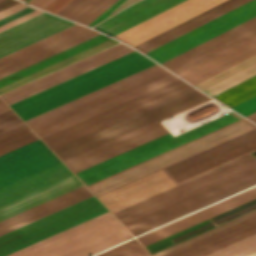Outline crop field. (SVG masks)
I'll return each mask as SVG.
<instances>
[{"label": "crop field", "instance_id": "obj_23", "mask_svg": "<svg viewBox=\"0 0 256 256\" xmlns=\"http://www.w3.org/2000/svg\"><path fill=\"white\" fill-rule=\"evenodd\" d=\"M255 217H256V216H253V217H251V218H249V219H246V220H244V221H242V222H239V223H237V224H235V225H233V226H230V227H228V228H226V229H229V228H231V227H234V226H236V225H238V224H241V223H243V222H245V221H248V220H250V219H252V218H255ZM255 227H256V218H255V219H252V220H250V221H248V222H245V223H243V224H241V225H238V226H236V227H234V228H231V229H229V230H227V231H224V230H226V229H223V230L219 231V232L224 231V232H222V233L216 232V233H214V234H212V235H215V234H217V233H219V234H217V235H215V236L210 235V236H212V237L207 236V237H205V238H208V237H210V238H208V239L203 238V239H205V240L200 239V240H198V241H201V240H203V241H201V242L196 241V242H198V243L193 242V243H191V244H194V243H196V244H194V245L189 244V245H191V246H189V245H187V246H189V247L184 246V247H187V248L182 247V248H184V249L180 248V249H182V250L177 249V250H180V251L175 250V251H177V252L173 251V252H175V253L170 252V253H173V254L168 253V254H170V255H168V254H166V255H168V256H191V255L196 254V253H198V252H200V251H202V250H205V249H207V248H209V247H212V246H214V245H216V244H219V243H221V242H223V241H225V240H228V239H230V238H232V237H235V236H237V235H239V234H242V233H244V232H246V231H248V230H251V229H253V228H255ZM166 255H164V256H166Z\"/></svg>", "mask_w": 256, "mask_h": 256}, {"label": "crop field", "instance_id": "obj_26", "mask_svg": "<svg viewBox=\"0 0 256 256\" xmlns=\"http://www.w3.org/2000/svg\"><path fill=\"white\" fill-rule=\"evenodd\" d=\"M116 43H118V42H116L115 40L109 38V39H107V40H105V41H103L101 43H98V44H96V45H94V46H92L90 48H87V49H85V50H83V51H81L79 53H76V54H74V55H72V56H70L68 58H65V59H63V60H61V61H59L57 63H54V64H52V65H50L48 67H45V68H43V69H41V70H39L37 72H34V73H32V74H30V75H28L26 77H23V78L15 81V82H12V83L4 86V87H1L0 88V93H2L4 91H7V90H9L11 88H14V87H16L18 85H21V84H23L25 82H28V81H30L32 79H35V78H37L39 76H42V75H44L46 73H49V72H51L53 70H56V69H58L60 67H63L65 65H67V64H70V63H72L74 61H77V60H79V59H81L83 57H86V56H88L90 54H93V53H95L97 51H100V50H102L104 48H107V47H109L111 45H114Z\"/></svg>", "mask_w": 256, "mask_h": 256}, {"label": "crop field", "instance_id": "obj_7", "mask_svg": "<svg viewBox=\"0 0 256 256\" xmlns=\"http://www.w3.org/2000/svg\"><path fill=\"white\" fill-rule=\"evenodd\" d=\"M131 237L107 211L7 256H89Z\"/></svg>", "mask_w": 256, "mask_h": 256}, {"label": "crop field", "instance_id": "obj_38", "mask_svg": "<svg viewBox=\"0 0 256 256\" xmlns=\"http://www.w3.org/2000/svg\"><path fill=\"white\" fill-rule=\"evenodd\" d=\"M69 0H55L51 3L45 10L55 13L59 10L63 5H65Z\"/></svg>", "mask_w": 256, "mask_h": 256}, {"label": "crop field", "instance_id": "obj_15", "mask_svg": "<svg viewBox=\"0 0 256 256\" xmlns=\"http://www.w3.org/2000/svg\"><path fill=\"white\" fill-rule=\"evenodd\" d=\"M133 51L131 48L119 43L99 53L75 62L69 66L45 75L30 83L24 84L18 88L8 91L1 95V97L8 103H12L119 56Z\"/></svg>", "mask_w": 256, "mask_h": 256}, {"label": "crop field", "instance_id": "obj_6", "mask_svg": "<svg viewBox=\"0 0 256 256\" xmlns=\"http://www.w3.org/2000/svg\"><path fill=\"white\" fill-rule=\"evenodd\" d=\"M155 64L136 51L10 104L27 119L141 69Z\"/></svg>", "mask_w": 256, "mask_h": 256}, {"label": "crop field", "instance_id": "obj_8", "mask_svg": "<svg viewBox=\"0 0 256 256\" xmlns=\"http://www.w3.org/2000/svg\"><path fill=\"white\" fill-rule=\"evenodd\" d=\"M80 186H82V184L74 175H72L66 179H63L0 207V221ZM90 196H92V194L84 186H82L78 189L33 207L27 211L1 221L0 235Z\"/></svg>", "mask_w": 256, "mask_h": 256}, {"label": "crop field", "instance_id": "obj_29", "mask_svg": "<svg viewBox=\"0 0 256 256\" xmlns=\"http://www.w3.org/2000/svg\"><path fill=\"white\" fill-rule=\"evenodd\" d=\"M43 11L21 3L0 12V31L35 16Z\"/></svg>", "mask_w": 256, "mask_h": 256}, {"label": "crop field", "instance_id": "obj_40", "mask_svg": "<svg viewBox=\"0 0 256 256\" xmlns=\"http://www.w3.org/2000/svg\"><path fill=\"white\" fill-rule=\"evenodd\" d=\"M1 1H3V0H1ZM16 2H18V1H16V0H5V1H3V2H0V10L1 9H3V8H5V7H7V6H10V5H12V4H14V3H16ZM19 3V2H18ZM17 4V3H16ZM15 5V4H14ZM13 6V5H12ZM8 8V7H7ZM6 9V8H5ZM4 10V9H3Z\"/></svg>", "mask_w": 256, "mask_h": 256}, {"label": "crop field", "instance_id": "obj_22", "mask_svg": "<svg viewBox=\"0 0 256 256\" xmlns=\"http://www.w3.org/2000/svg\"><path fill=\"white\" fill-rule=\"evenodd\" d=\"M254 75H256V55L196 86L214 96Z\"/></svg>", "mask_w": 256, "mask_h": 256}, {"label": "crop field", "instance_id": "obj_31", "mask_svg": "<svg viewBox=\"0 0 256 256\" xmlns=\"http://www.w3.org/2000/svg\"><path fill=\"white\" fill-rule=\"evenodd\" d=\"M206 256H256V234Z\"/></svg>", "mask_w": 256, "mask_h": 256}, {"label": "crop field", "instance_id": "obj_17", "mask_svg": "<svg viewBox=\"0 0 256 256\" xmlns=\"http://www.w3.org/2000/svg\"><path fill=\"white\" fill-rule=\"evenodd\" d=\"M73 24L43 12L0 32V57Z\"/></svg>", "mask_w": 256, "mask_h": 256}, {"label": "crop field", "instance_id": "obj_42", "mask_svg": "<svg viewBox=\"0 0 256 256\" xmlns=\"http://www.w3.org/2000/svg\"><path fill=\"white\" fill-rule=\"evenodd\" d=\"M1 103H3V101L0 99V104ZM7 109H9V107L5 103L0 105V112H3L5 110H7Z\"/></svg>", "mask_w": 256, "mask_h": 256}, {"label": "crop field", "instance_id": "obj_34", "mask_svg": "<svg viewBox=\"0 0 256 256\" xmlns=\"http://www.w3.org/2000/svg\"><path fill=\"white\" fill-rule=\"evenodd\" d=\"M234 110H236L238 113L246 116L254 111H256V96L232 107ZM251 121L256 123V112L246 116Z\"/></svg>", "mask_w": 256, "mask_h": 256}, {"label": "crop field", "instance_id": "obj_11", "mask_svg": "<svg viewBox=\"0 0 256 256\" xmlns=\"http://www.w3.org/2000/svg\"><path fill=\"white\" fill-rule=\"evenodd\" d=\"M256 151V128L163 168L177 183Z\"/></svg>", "mask_w": 256, "mask_h": 256}, {"label": "crop field", "instance_id": "obj_27", "mask_svg": "<svg viewBox=\"0 0 256 256\" xmlns=\"http://www.w3.org/2000/svg\"><path fill=\"white\" fill-rule=\"evenodd\" d=\"M37 139L23 123L0 132V154Z\"/></svg>", "mask_w": 256, "mask_h": 256}, {"label": "crop field", "instance_id": "obj_9", "mask_svg": "<svg viewBox=\"0 0 256 256\" xmlns=\"http://www.w3.org/2000/svg\"><path fill=\"white\" fill-rule=\"evenodd\" d=\"M253 198H256V186L250 188V189H247L241 193H238L234 196H231L225 200H222L216 204H213L207 208H204L200 211H197L191 215H188L182 219H179L173 223H170L164 227H161L157 230H154L148 234H145L139 238H137L144 246L152 243V242H155L159 239H162L168 235H171L175 232H178L184 228H187L191 225H194L200 221H203L207 218H210L216 214H219L223 211H226L230 208H233L237 205H240L244 202H247ZM256 208V199H253L247 203H244L240 206H237L233 209H230L226 212H223L219 215H216L210 219H207L203 222H200L194 226H191L187 229H184L178 233H175L171 236H168L162 240H159L155 243H152L148 246H146L147 249L153 247V246H156L160 243H163L165 241H168L172 238H175L179 235H181L184 239L192 236V235H195L199 232H202L208 228H211L215 225H218L224 221H227L231 218H234L240 214H243L247 211H250L252 209Z\"/></svg>", "mask_w": 256, "mask_h": 256}, {"label": "crop field", "instance_id": "obj_13", "mask_svg": "<svg viewBox=\"0 0 256 256\" xmlns=\"http://www.w3.org/2000/svg\"><path fill=\"white\" fill-rule=\"evenodd\" d=\"M95 31L91 30V29H88L84 26H81V25H78V24H75L69 28H66L60 32H57L51 36H48L42 40H39L33 44H30L24 48H21L15 52H12L6 56H3L0 58V74L3 73V72H6L12 68H15L21 64H24L30 60H33L41 55H44L50 51H53L59 47H62L68 43H71L77 39H80L86 35H89L91 33H93ZM99 33L95 32L89 36H86L80 40H77L71 44H68L62 48H59L53 52H50L44 56H41L33 61H30L24 65H21L15 69H12L6 73H3L0 75V78L7 75V74H10L16 70H19L25 66H28L34 62H37L45 57H48L54 53H57L63 49H66L72 45H75L81 41H84L90 37H93L95 35H97Z\"/></svg>", "mask_w": 256, "mask_h": 256}, {"label": "crop field", "instance_id": "obj_19", "mask_svg": "<svg viewBox=\"0 0 256 256\" xmlns=\"http://www.w3.org/2000/svg\"><path fill=\"white\" fill-rule=\"evenodd\" d=\"M166 133H168V131L159 122H157L130 135L69 160L65 162V164L74 173H76Z\"/></svg>", "mask_w": 256, "mask_h": 256}, {"label": "crop field", "instance_id": "obj_21", "mask_svg": "<svg viewBox=\"0 0 256 256\" xmlns=\"http://www.w3.org/2000/svg\"><path fill=\"white\" fill-rule=\"evenodd\" d=\"M72 175L67 167L58 163L0 189V206Z\"/></svg>", "mask_w": 256, "mask_h": 256}, {"label": "crop field", "instance_id": "obj_36", "mask_svg": "<svg viewBox=\"0 0 256 256\" xmlns=\"http://www.w3.org/2000/svg\"><path fill=\"white\" fill-rule=\"evenodd\" d=\"M123 1L125 0H117L114 2L110 7H108L103 13H101L97 18H95L91 23L88 24V26H93L96 23H98L100 20H102L105 16H107L111 11H113L117 6H119ZM127 1V0H126ZM121 6V5H120ZM115 11V10H114ZM113 11V12H114ZM109 16V15H108ZM107 16V17H108Z\"/></svg>", "mask_w": 256, "mask_h": 256}, {"label": "crop field", "instance_id": "obj_25", "mask_svg": "<svg viewBox=\"0 0 256 256\" xmlns=\"http://www.w3.org/2000/svg\"><path fill=\"white\" fill-rule=\"evenodd\" d=\"M107 38H109V37H105V36L99 34V35H97V36H95L93 38H90V39H88V40H86L84 42H81V43H79V44H77L75 46H72V47H70V48H68L66 50H63V51H61V52H59L57 54H54V55H52V56H50L48 58H45V59H43V60H41V61H39L37 63H34V64H32V65H30L28 67H25V68H23V69H21L19 71H16V72H14V73H12L10 75H7V76H5V77L0 79V87L5 85V84H7V83H9V82H12V81L18 79V78H21V77H23V76H25V75H27L29 73H32V72H34V71H36L38 69H41V68H43V67H45V66H47L49 64H52V63H54V62H56L58 60H61V59L65 58V57H67L69 55H72V54H74V53H76L78 51H81V50H83V49H85V48H87L89 46H92V45H94V44H96L98 42H101V41H103V40H105Z\"/></svg>", "mask_w": 256, "mask_h": 256}, {"label": "crop field", "instance_id": "obj_30", "mask_svg": "<svg viewBox=\"0 0 256 256\" xmlns=\"http://www.w3.org/2000/svg\"><path fill=\"white\" fill-rule=\"evenodd\" d=\"M114 1L115 0H88L71 16H69L68 19L87 25Z\"/></svg>", "mask_w": 256, "mask_h": 256}, {"label": "crop field", "instance_id": "obj_16", "mask_svg": "<svg viewBox=\"0 0 256 256\" xmlns=\"http://www.w3.org/2000/svg\"><path fill=\"white\" fill-rule=\"evenodd\" d=\"M254 35H256V17L162 64L178 74Z\"/></svg>", "mask_w": 256, "mask_h": 256}, {"label": "crop field", "instance_id": "obj_4", "mask_svg": "<svg viewBox=\"0 0 256 256\" xmlns=\"http://www.w3.org/2000/svg\"><path fill=\"white\" fill-rule=\"evenodd\" d=\"M176 79L172 73L155 64L25 122L42 138Z\"/></svg>", "mask_w": 256, "mask_h": 256}, {"label": "crop field", "instance_id": "obj_1", "mask_svg": "<svg viewBox=\"0 0 256 256\" xmlns=\"http://www.w3.org/2000/svg\"><path fill=\"white\" fill-rule=\"evenodd\" d=\"M190 88H192L190 85H188L185 82H183L182 80L178 79L174 82H171L167 85L157 88L151 92H148L144 95H141L137 98H134V99L127 101L123 104H120L116 107H113L107 111H104L100 114H97L93 117H90L86 120H83L79 123L69 126L63 130H60L56 133L46 136V137L42 138V140L46 143V145L50 149H52L56 146H59V145L65 143V142H68L72 139H75L79 136L89 133L95 129H98L102 126H105L109 123L119 120L125 116H128L132 113H135L139 110L149 107L155 103H158L162 100H165L169 97H172V96L179 94V93H181L185 90H188ZM206 98H208V97L205 96L204 94H202L201 92L197 91L196 89L192 88V89L185 91L179 95H176L172 98H169L165 101L155 104L149 108H146V109L139 111L135 114H132L128 117H125L119 121H116L112 124H109V125L102 127L98 130H95L89 134H86L82 137H79L75 140L65 143L59 147H56V148L52 149V151L62 161H64L68 158H71V157L77 155V154H80L84 151L94 148L100 144L110 141L116 137H119L123 134L133 131L139 127H142L146 124L156 121L162 117L172 114L178 110H181L185 107H188V106L195 104V103H197L201 100H204ZM208 99H210V98H208ZM208 99H206V100H208ZM206 100H204V101H206ZM201 102H203V101H201ZM201 102H199V103H201ZM199 103H197V104H199ZM192 106H194V105H192ZM192 106H190V107H192ZM190 107H188V108H190ZM185 109H187V108H185ZM185 109H183V110H185ZM183 110H181V111H183ZM178 112H180V111H178ZM178 112H176V113H178ZM176 113H174V114H176ZM169 116H171V115H169ZM169 116H167V117H169ZM162 119H164V118H162ZM162 119H160V120H162ZM153 123H155V122H153ZM153 123H151V124H153ZM146 126H148V125H146ZM146 126H144V127H146ZM139 129H141V128H139ZM139 129H137V130H139ZM130 133H132V132H130ZM123 136H125V135H123ZM116 139H118V138H116ZM116 139H114V140H116ZM107 143H109V142H107ZM100 146H102V145H100ZM77 156H79V155H77Z\"/></svg>", "mask_w": 256, "mask_h": 256}, {"label": "crop field", "instance_id": "obj_2", "mask_svg": "<svg viewBox=\"0 0 256 256\" xmlns=\"http://www.w3.org/2000/svg\"><path fill=\"white\" fill-rule=\"evenodd\" d=\"M240 119L242 118L231 112L175 138L168 133L141 146L80 171L76 173V175L86 186H88ZM255 127L256 126L254 124L242 119L192 142L92 184L88 186V188L96 196H98Z\"/></svg>", "mask_w": 256, "mask_h": 256}, {"label": "crop field", "instance_id": "obj_28", "mask_svg": "<svg viewBox=\"0 0 256 256\" xmlns=\"http://www.w3.org/2000/svg\"><path fill=\"white\" fill-rule=\"evenodd\" d=\"M254 95H256V76L214 97L231 107Z\"/></svg>", "mask_w": 256, "mask_h": 256}, {"label": "crop field", "instance_id": "obj_33", "mask_svg": "<svg viewBox=\"0 0 256 256\" xmlns=\"http://www.w3.org/2000/svg\"><path fill=\"white\" fill-rule=\"evenodd\" d=\"M253 215H256V210L253 211V212H250V213H248V214H246V215H243V216H241V217H239V218H236V219H234V220H232V221H230V222H227V223H225V224H223V225H220V226H218V227H216V228H213V229H211V230H209V231H207V232H204V233H202V234H200V235H197V236H195V237H193V238H190V239H188V240H186V241H184V242H181V243H179V244H177V245H174V246H172V247H170V248H167V249H165V250H163V251H161V252H158V253L154 254V256H161V255H164V254H166V253H168V252H170V251H173V250H175V249H177V248H180V247H182V246H184V245H187V244H189V243H191V242H193V241H196V240H198V239H200V238H203V237H205V236H207V235H210V234H212V233H214V232H216V231H219V230H221V229H223V228H226V227H228V226H230V225H233V224H235V223H237V222H239V221H242V220H244V219H246V218H249V217H251V216H253Z\"/></svg>", "mask_w": 256, "mask_h": 256}, {"label": "crop field", "instance_id": "obj_32", "mask_svg": "<svg viewBox=\"0 0 256 256\" xmlns=\"http://www.w3.org/2000/svg\"><path fill=\"white\" fill-rule=\"evenodd\" d=\"M148 254L149 253L134 239L96 256H146Z\"/></svg>", "mask_w": 256, "mask_h": 256}, {"label": "crop field", "instance_id": "obj_43", "mask_svg": "<svg viewBox=\"0 0 256 256\" xmlns=\"http://www.w3.org/2000/svg\"><path fill=\"white\" fill-rule=\"evenodd\" d=\"M24 1V0H23ZM26 1V0H25Z\"/></svg>", "mask_w": 256, "mask_h": 256}, {"label": "crop field", "instance_id": "obj_12", "mask_svg": "<svg viewBox=\"0 0 256 256\" xmlns=\"http://www.w3.org/2000/svg\"><path fill=\"white\" fill-rule=\"evenodd\" d=\"M255 15L256 0H252L146 54L161 63Z\"/></svg>", "mask_w": 256, "mask_h": 256}, {"label": "crop field", "instance_id": "obj_3", "mask_svg": "<svg viewBox=\"0 0 256 256\" xmlns=\"http://www.w3.org/2000/svg\"><path fill=\"white\" fill-rule=\"evenodd\" d=\"M253 168H256V159L249 154L236 161L118 211L114 213V215L123 224H125ZM255 183L256 169H253L193 196L129 222L125 224V226L133 235H137Z\"/></svg>", "mask_w": 256, "mask_h": 256}, {"label": "crop field", "instance_id": "obj_35", "mask_svg": "<svg viewBox=\"0 0 256 256\" xmlns=\"http://www.w3.org/2000/svg\"><path fill=\"white\" fill-rule=\"evenodd\" d=\"M19 122H21V120L11 109L0 113V131Z\"/></svg>", "mask_w": 256, "mask_h": 256}, {"label": "crop field", "instance_id": "obj_10", "mask_svg": "<svg viewBox=\"0 0 256 256\" xmlns=\"http://www.w3.org/2000/svg\"><path fill=\"white\" fill-rule=\"evenodd\" d=\"M105 211L107 209L92 196L0 236V256H5Z\"/></svg>", "mask_w": 256, "mask_h": 256}, {"label": "crop field", "instance_id": "obj_20", "mask_svg": "<svg viewBox=\"0 0 256 256\" xmlns=\"http://www.w3.org/2000/svg\"><path fill=\"white\" fill-rule=\"evenodd\" d=\"M256 54V36L178 74L195 85Z\"/></svg>", "mask_w": 256, "mask_h": 256}, {"label": "crop field", "instance_id": "obj_41", "mask_svg": "<svg viewBox=\"0 0 256 256\" xmlns=\"http://www.w3.org/2000/svg\"><path fill=\"white\" fill-rule=\"evenodd\" d=\"M135 1H137V0H127V1H125L121 6H119V7H118L114 12H112L111 14L117 12L118 10L122 9L123 7H125V6H127V5H129V4H131V3H133V2H135ZM111 14H110V15H111ZM110 15H109V16H110Z\"/></svg>", "mask_w": 256, "mask_h": 256}, {"label": "crop field", "instance_id": "obj_37", "mask_svg": "<svg viewBox=\"0 0 256 256\" xmlns=\"http://www.w3.org/2000/svg\"><path fill=\"white\" fill-rule=\"evenodd\" d=\"M83 0H71L68 2L64 7H62L56 14L64 17L67 15L71 10H73L77 5H79Z\"/></svg>", "mask_w": 256, "mask_h": 256}, {"label": "crop field", "instance_id": "obj_14", "mask_svg": "<svg viewBox=\"0 0 256 256\" xmlns=\"http://www.w3.org/2000/svg\"><path fill=\"white\" fill-rule=\"evenodd\" d=\"M58 162L39 139L0 155V188Z\"/></svg>", "mask_w": 256, "mask_h": 256}, {"label": "crop field", "instance_id": "obj_24", "mask_svg": "<svg viewBox=\"0 0 256 256\" xmlns=\"http://www.w3.org/2000/svg\"><path fill=\"white\" fill-rule=\"evenodd\" d=\"M248 1H250V0H233V1H231L227 4H225V5L217 8V9H215V10H213V11H211V12H209V13H207V14H205V15H203V16H201V17H199V18H197V19H195V20H193V21H191V22H189V23H187V24H185V25H183V26H181V27H179V28H177V29H175V30H173V31H171V32H169V33L151 41V42H149V43H147V44H145V45H143V46H141V47H139V48H137V50L145 53V52H147V51H149V50H151V49H153V48H155V47H157V46H159V45H161V44H163V43H165V42H167V41H169V40H171V39H173V38H175V37H177V36H179V35H181L185 32H187V31H189V30H191V29H193V28H195V27H197L201 24H204V23H206V22H208V21H210V20H212V19H214V18H216V17H218V16H220V15H222V14H224V13H226V12H228V11H230V10H232V9H234V8L244 4L246 2H248Z\"/></svg>", "mask_w": 256, "mask_h": 256}, {"label": "crop field", "instance_id": "obj_18", "mask_svg": "<svg viewBox=\"0 0 256 256\" xmlns=\"http://www.w3.org/2000/svg\"><path fill=\"white\" fill-rule=\"evenodd\" d=\"M174 185L176 183L160 169L102 194L98 198L114 213Z\"/></svg>", "mask_w": 256, "mask_h": 256}, {"label": "crop field", "instance_id": "obj_5", "mask_svg": "<svg viewBox=\"0 0 256 256\" xmlns=\"http://www.w3.org/2000/svg\"><path fill=\"white\" fill-rule=\"evenodd\" d=\"M183 0H141L94 29L113 36ZM230 0H185L113 37L138 47Z\"/></svg>", "mask_w": 256, "mask_h": 256}, {"label": "crop field", "instance_id": "obj_39", "mask_svg": "<svg viewBox=\"0 0 256 256\" xmlns=\"http://www.w3.org/2000/svg\"><path fill=\"white\" fill-rule=\"evenodd\" d=\"M52 1L54 0H29L28 3L39 7L41 9H44L46 6H48Z\"/></svg>", "mask_w": 256, "mask_h": 256}]
</instances>
